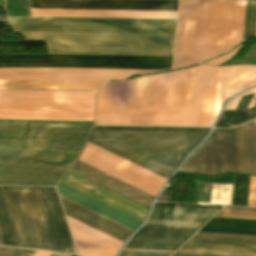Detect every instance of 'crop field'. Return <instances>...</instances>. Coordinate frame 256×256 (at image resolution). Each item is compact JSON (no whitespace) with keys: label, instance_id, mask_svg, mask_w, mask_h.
Returning a JSON list of instances; mask_svg holds the SVG:
<instances>
[{"label":"crop field","instance_id":"34b2d1b8","mask_svg":"<svg viewBox=\"0 0 256 256\" xmlns=\"http://www.w3.org/2000/svg\"><path fill=\"white\" fill-rule=\"evenodd\" d=\"M92 127L0 123V184L55 186Z\"/></svg>","mask_w":256,"mask_h":256},{"label":"crop field","instance_id":"5142ce71","mask_svg":"<svg viewBox=\"0 0 256 256\" xmlns=\"http://www.w3.org/2000/svg\"><path fill=\"white\" fill-rule=\"evenodd\" d=\"M70 172L89 180L107 190H110L126 199H129L149 209L154 197L135 189L119 180H116L98 170H95L79 161L71 168Z\"/></svg>","mask_w":256,"mask_h":256},{"label":"crop field","instance_id":"730fd06b","mask_svg":"<svg viewBox=\"0 0 256 256\" xmlns=\"http://www.w3.org/2000/svg\"><path fill=\"white\" fill-rule=\"evenodd\" d=\"M102 130L208 132L209 129L97 127Z\"/></svg>","mask_w":256,"mask_h":256},{"label":"crop field","instance_id":"ae1a2a85","mask_svg":"<svg viewBox=\"0 0 256 256\" xmlns=\"http://www.w3.org/2000/svg\"><path fill=\"white\" fill-rule=\"evenodd\" d=\"M233 64H256V55H245L242 58H234L223 65H233Z\"/></svg>","mask_w":256,"mask_h":256},{"label":"crop field","instance_id":"bc2a9ffb","mask_svg":"<svg viewBox=\"0 0 256 256\" xmlns=\"http://www.w3.org/2000/svg\"><path fill=\"white\" fill-rule=\"evenodd\" d=\"M210 184L232 185L194 181L196 203L209 204ZM232 186L211 185L210 204L230 205Z\"/></svg>","mask_w":256,"mask_h":256},{"label":"crop field","instance_id":"eef30255","mask_svg":"<svg viewBox=\"0 0 256 256\" xmlns=\"http://www.w3.org/2000/svg\"><path fill=\"white\" fill-rule=\"evenodd\" d=\"M4 123H40V124H75V125H93V122H41V121H15V120H0Z\"/></svg>","mask_w":256,"mask_h":256},{"label":"crop field","instance_id":"3316defc","mask_svg":"<svg viewBox=\"0 0 256 256\" xmlns=\"http://www.w3.org/2000/svg\"><path fill=\"white\" fill-rule=\"evenodd\" d=\"M208 6L209 0H180L174 68L203 60Z\"/></svg>","mask_w":256,"mask_h":256},{"label":"crop field","instance_id":"e1f06a70","mask_svg":"<svg viewBox=\"0 0 256 256\" xmlns=\"http://www.w3.org/2000/svg\"><path fill=\"white\" fill-rule=\"evenodd\" d=\"M173 256H201V255H183V254H174Z\"/></svg>","mask_w":256,"mask_h":256},{"label":"crop field","instance_id":"750c4746","mask_svg":"<svg viewBox=\"0 0 256 256\" xmlns=\"http://www.w3.org/2000/svg\"><path fill=\"white\" fill-rule=\"evenodd\" d=\"M244 44L240 45L239 47H237L236 49H234L233 51H231L230 53L222 56V57H219L217 59H214V60H211L209 62H206V64H213V65H218L230 58H232L242 47H243Z\"/></svg>","mask_w":256,"mask_h":256},{"label":"crop field","instance_id":"92a150f3","mask_svg":"<svg viewBox=\"0 0 256 256\" xmlns=\"http://www.w3.org/2000/svg\"><path fill=\"white\" fill-rule=\"evenodd\" d=\"M0 234L4 245L22 247L2 186H0Z\"/></svg>","mask_w":256,"mask_h":256},{"label":"crop field","instance_id":"214f88e0","mask_svg":"<svg viewBox=\"0 0 256 256\" xmlns=\"http://www.w3.org/2000/svg\"><path fill=\"white\" fill-rule=\"evenodd\" d=\"M199 231L256 235V220L213 218Z\"/></svg>","mask_w":256,"mask_h":256},{"label":"crop field","instance_id":"ac0d7876","mask_svg":"<svg viewBox=\"0 0 256 256\" xmlns=\"http://www.w3.org/2000/svg\"><path fill=\"white\" fill-rule=\"evenodd\" d=\"M9 18L50 54L172 56L176 20Z\"/></svg>","mask_w":256,"mask_h":256},{"label":"crop field","instance_id":"412701ff","mask_svg":"<svg viewBox=\"0 0 256 256\" xmlns=\"http://www.w3.org/2000/svg\"><path fill=\"white\" fill-rule=\"evenodd\" d=\"M172 57L0 55V67L171 68ZM162 69L0 68V82L104 84L132 74Z\"/></svg>","mask_w":256,"mask_h":256},{"label":"crop field","instance_id":"4177f3b9","mask_svg":"<svg viewBox=\"0 0 256 256\" xmlns=\"http://www.w3.org/2000/svg\"><path fill=\"white\" fill-rule=\"evenodd\" d=\"M215 217L256 219V209L224 207Z\"/></svg>","mask_w":256,"mask_h":256},{"label":"crop field","instance_id":"cbeb9de0","mask_svg":"<svg viewBox=\"0 0 256 256\" xmlns=\"http://www.w3.org/2000/svg\"><path fill=\"white\" fill-rule=\"evenodd\" d=\"M196 231L142 227L125 248L175 251Z\"/></svg>","mask_w":256,"mask_h":256},{"label":"crop field","instance_id":"dafd665d","mask_svg":"<svg viewBox=\"0 0 256 256\" xmlns=\"http://www.w3.org/2000/svg\"><path fill=\"white\" fill-rule=\"evenodd\" d=\"M189 241L256 245V236L197 232Z\"/></svg>","mask_w":256,"mask_h":256},{"label":"crop field","instance_id":"bd1437ed","mask_svg":"<svg viewBox=\"0 0 256 256\" xmlns=\"http://www.w3.org/2000/svg\"><path fill=\"white\" fill-rule=\"evenodd\" d=\"M171 254L164 253H147V252H131V251H122L120 256H170Z\"/></svg>","mask_w":256,"mask_h":256},{"label":"crop field","instance_id":"c035e120","mask_svg":"<svg viewBox=\"0 0 256 256\" xmlns=\"http://www.w3.org/2000/svg\"><path fill=\"white\" fill-rule=\"evenodd\" d=\"M72 256H75V255H72Z\"/></svg>","mask_w":256,"mask_h":256},{"label":"crop field","instance_id":"00972430","mask_svg":"<svg viewBox=\"0 0 256 256\" xmlns=\"http://www.w3.org/2000/svg\"><path fill=\"white\" fill-rule=\"evenodd\" d=\"M249 176L234 175L231 205L247 206Z\"/></svg>","mask_w":256,"mask_h":256},{"label":"crop field","instance_id":"dd49c442","mask_svg":"<svg viewBox=\"0 0 256 256\" xmlns=\"http://www.w3.org/2000/svg\"><path fill=\"white\" fill-rule=\"evenodd\" d=\"M3 187L23 247L76 254L54 188Z\"/></svg>","mask_w":256,"mask_h":256},{"label":"crop field","instance_id":"5a996713","mask_svg":"<svg viewBox=\"0 0 256 256\" xmlns=\"http://www.w3.org/2000/svg\"><path fill=\"white\" fill-rule=\"evenodd\" d=\"M30 8L177 11L178 0H29ZM31 17L176 19L177 12L30 9Z\"/></svg>","mask_w":256,"mask_h":256},{"label":"crop field","instance_id":"733c2abd","mask_svg":"<svg viewBox=\"0 0 256 256\" xmlns=\"http://www.w3.org/2000/svg\"><path fill=\"white\" fill-rule=\"evenodd\" d=\"M58 193L76 203H79L95 212H98L114 221H117L133 230L138 228L141 222L114 210L88 196H85L61 183L57 186Z\"/></svg>","mask_w":256,"mask_h":256},{"label":"crop field","instance_id":"4a817a6b","mask_svg":"<svg viewBox=\"0 0 256 256\" xmlns=\"http://www.w3.org/2000/svg\"><path fill=\"white\" fill-rule=\"evenodd\" d=\"M176 253L220 256H256V246L187 242Z\"/></svg>","mask_w":256,"mask_h":256},{"label":"crop field","instance_id":"d8731c3e","mask_svg":"<svg viewBox=\"0 0 256 256\" xmlns=\"http://www.w3.org/2000/svg\"><path fill=\"white\" fill-rule=\"evenodd\" d=\"M94 92L0 90V119L93 121Z\"/></svg>","mask_w":256,"mask_h":256},{"label":"crop field","instance_id":"b80d0937","mask_svg":"<svg viewBox=\"0 0 256 256\" xmlns=\"http://www.w3.org/2000/svg\"><path fill=\"white\" fill-rule=\"evenodd\" d=\"M0 1H4V0H0Z\"/></svg>","mask_w":256,"mask_h":256},{"label":"crop field","instance_id":"5866460e","mask_svg":"<svg viewBox=\"0 0 256 256\" xmlns=\"http://www.w3.org/2000/svg\"><path fill=\"white\" fill-rule=\"evenodd\" d=\"M50 254H51V253H49V252L37 251L34 256H50Z\"/></svg>","mask_w":256,"mask_h":256},{"label":"crop field","instance_id":"28ad6ade","mask_svg":"<svg viewBox=\"0 0 256 256\" xmlns=\"http://www.w3.org/2000/svg\"><path fill=\"white\" fill-rule=\"evenodd\" d=\"M218 211L155 206L144 226L199 229Z\"/></svg>","mask_w":256,"mask_h":256},{"label":"crop field","instance_id":"d9b57169","mask_svg":"<svg viewBox=\"0 0 256 256\" xmlns=\"http://www.w3.org/2000/svg\"><path fill=\"white\" fill-rule=\"evenodd\" d=\"M60 196V195H59ZM65 213L121 242L130 236L133 230L95 213L79 204L60 196Z\"/></svg>","mask_w":256,"mask_h":256},{"label":"crop field","instance_id":"d32e631a","mask_svg":"<svg viewBox=\"0 0 256 256\" xmlns=\"http://www.w3.org/2000/svg\"><path fill=\"white\" fill-rule=\"evenodd\" d=\"M36 251L24 250L20 256H33Z\"/></svg>","mask_w":256,"mask_h":256},{"label":"crop field","instance_id":"d3111659","mask_svg":"<svg viewBox=\"0 0 256 256\" xmlns=\"http://www.w3.org/2000/svg\"><path fill=\"white\" fill-rule=\"evenodd\" d=\"M248 206L256 207V176H250Z\"/></svg>","mask_w":256,"mask_h":256},{"label":"crop field","instance_id":"8a807250","mask_svg":"<svg viewBox=\"0 0 256 256\" xmlns=\"http://www.w3.org/2000/svg\"><path fill=\"white\" fill-rule=\"evenodd\" d=\"M199 66L109 82L96 94V125L195 127ZM256 85V66L200 65L196 127H211L226 98Z\"/></svg>","mask_w":256,"mask_h":256},{"label":"crop field","instance_id":"1d83c4d3","mask_svg":"<svg viewBox=\"0 0 256 256\" xmlns=\"http://www.w3.org/2000/svg\"><path fill=\"white\" fill-rule=\"evenodd\" d=\"M23 250L0 247V256H19Z\"/></svg>","mask_w":256,"mask_h":256},{"label":"crop field","instance_id":"f4fd0767","mask_svg":"<svg viewBox=\"0 0 256 256\" xmlns=\"http://www.w3.org/2000/svg\"><path fill=\"white\" fill-rule=\"evenodd\" d=\"M207 133L93 129L88 142L166 180Z\"/></svg>","mask_w":256,"mask_h":256},{"label":"crop field","instance_id":"22f410ed","mask_svg":"<svg viewBox=\"0 0 256 256\" xmlns=\"http://www.w3.org/2000/svg\"><path fill=\"white\" fill-rule=\"evenodd\" d=\"M67 219L77 253L81 256H115L122 246V243L68 216Z\"/></svg>","mask_w":256,"mask_h":256},{"label":"crop field","instance_id":"0bd39190","mask_svg":"<svg viewBox=\"0 0 256 256\" xmlns=\"http://www.w3.org/2000/svg\"><path fill=\"white\" fill-rule=\"evenodd\" d=\"M0 245H3V244H2V241H1V238H0Z\"/></svg>","mask_w":256,"mask_h":256},{"label":"crop field","instance_id":"e52e79f7","mask_svg":"<svg viewBox=\"0 0 256 256\" xmlns=\"http://www.w3.org/2000/svg\"><path fill=\"white\" fill-rule=\"evenodd\" d=\"M179 170L211 175L231 171L256 174V119L231 129H214Z\"/></svg>","mask_w":256,"mask_h":256},{"label":"crop field","instance_id":"028f5c9d","mask_svg":"<svg viewBox=\"0 0 256 256\" xmlns=\"http://www.w3.org/2000/svg\"><path fill=\"white\" fill-rule=\"evenodd\" d=\"M51 256H71V255L52 253Z\"/></svg>","mask_w":256,"mask_h":256},{"label":"crop field","instance_id":"120bbe31","mask_svg":"<svg viewBox=\"0 0 256 256\" xmlns=\"http://www.w3.org/2000/svg\"><path fill=\"white\" fill-rule=\"evenodd\" d=\"M156 205L221 209V207H214V206H198V205H181V204H165V203H156Z\"/></svg>","mask_w":256,"mask_h":256},{"label":"crop field","instance_id":"a9b5d70f","mask_svg":"<svg viewBox=\"0 0 256 256\" xmlns=\"http://www.w3.org/2000/svg\"><path fill=\"white\" fill-rule=\"evenodd\" d=\"M256 31V0H247L243 40Z\"/></svg>","mask_w":256,"mask_h":256},{"label":"crop field","instance_id":"d1516ede","mask_svg":"<svg viewBox=\"0 0 256 256\" xmlns=\"http://www.w3.org/2000/svg\"><path fill=\"white\" fill-rule=\"evenodd\" d=\"M61 183L88 195L114 209H117L141 222H143L147 209L128 201L110 191H107L91 182H88L70 172L62 179Z\"/></svg>","mask_w":256,"mask_h":256}]
</instances>
